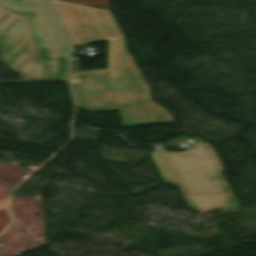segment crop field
Here are the masks:
<instances>
[{
	"label": "crop field",
	"instance_id": "6",
	"mask_svg": "<svg viewBox=\"0 0 256 256\" xmlns=\"http://www.w3.org/2000/svg\"><path fill=\"white\" fill-rule=\"evenodd\" d=\"M8 204L9 198L0 199V232L13 221L7 207Z\"/></svg>",
	"mask_w": 256,
	"mask_h": 256
},
{
	"label": "crop field",
	"instance_id": "1",
	"mask_svg": "<svg viewBox=\"0 0 256 256\" xmlns=\"http://www.w3.org/2000/svg\"><path fill=\"white\" fill-rule=\"evenodd\" d=\"M50 1L74 45L109 40L108 69L71 72L78 107L91 112L119 110L123 126L173 122V116L150 99L149 85L126 51L110 11Z\"/></svg>",
	"mask_w": 256,
	"mask_h": 256
},
{
	"label": "crop field",
	"instance_id": "7",
	"mask_svg": "<svg viewBox=\"0 0 256 256\" xmlns=\"http://www.w3.org/2000/svg\"><path fill=\"white\" fill-rule=\"evenodd\" d=\"M69 1H74V2H78V3H83V4H88V5H92V6H97V7L108 9V3L102 2V1H98V0H69Z\"/></svg>",
	"mask_w": 256,
	"mask_h": 256
},
{
	"label": "crop field",
	"instance_id": "9",
	"mask_svg": "<svg viewBox=\"0 0 256 256\" xmlns=\"http://www.w3.org/2000/svg\"><path fill=\"white\" fill-rule=\"evenodd\" d=\"M102 1H106V2H108V0H102Z\"/></svg>",
	"mask_w": 256,
	"mask_h": 256
},
{
	"label": "crop field",
	"instance_id": "4",
	"mask_svg": "<svg viewBox=\"0 0 256 256\" xmlns=\"http://www.w3.org/2000/svg\"><path fill=\"white\" fill-rule=\"evenodd\" d=\"M18 23L21 28H17ZM10 29L13 30L12 35H8ZM0 60L15 72H21L24 80H27L26 78L44 80L27 18L2 8H0ZM36 62L38 64H35Z\"/></svg>",
	"mask_w": 256,
	"mask_h": 256
},
{
	"label": "crop field",
	"instance_id": "5",
	"mask_svg": "<svg viewBox=\"0 0 256 256\" xmlns=\"http://www.w3.org/2000/svg\"><path fill=\"white\" fill-rule=\"evenodd\" d=\"M165 183L179 185L189 208L201 212L239 206L234 195H189L164 148L149 152Z\"/></svg>",
	"mask_w": 256,
	"mask_h": 256
},
{
	"label": "crop field",
	"instance_id": "2",
	"mask_svg": "<svg viewBox=\"0 0 256 256\" xmlns=\"http://www.w3.org/2000/svg\"><path fill=\"white\" fill-rule=\"evenodd\" d=\"M0 7L28 18L45 80L66 79L69 43L46 0H0Z\"/></svg>",
	"mask_w": 256,
	"mask_h": 256
},
{
	"label": "crop field",
	"instance_id": "8",
	"mask_svg": "<svg viewBox=\"0 0 256 256\" xmlns=\"http://www.w3.org/2000/svg\"><path fill=\"white\" fill-rule=\"evenodd\" d=\"M3 241V237H2V234L0 235V242Z\"/></svg>",
	"mask_w": 256,
	"mask_h": 256
},
{
	"label": "crop field",
	"instance_id": "3",
	"mask_svg": "<svg viewBox=\"0 0 256 256\" xmlns=\"http://www.w3.org/2000/svg\"><path fill=\"white\" fill-rule=\"evenodd\" d=\"M168 154L189 194H232L211 145L195 144L184 152Z\"/></svg>",
	"mask_w": 256,
	"mask_h": 256
}]
</instances>
